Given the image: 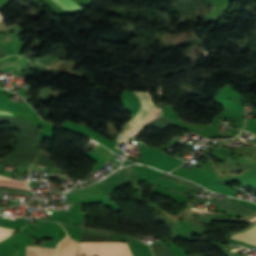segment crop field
<instances>
[{
  "mask_svg": "<svg viewBox=\"0 0 256 256\" xmlns=\"http://www.w3.org/2000/svg\"><path fill=\"white\" fill-rule=\"evenodd\" d=\"M78 254L97 256H132L126 243L83 242Z\"/></svg>",
  "mask_w": 256,
  "mask_h": 256,
  "instance_id": "8a807250",
  "label": "crop field"
},
{
  "mask_svg": "<svg viewBox=\"0 0 256 256\" xmlns=\"http://www.w3.org/2000/svg\"><path fill=\"white\" fill-rule=\"evenodd\" d=\"M139 99L141 100V107L138 113L135 114L130 121L134 124L138 119H140L149 109H151L155 104L153 103L149 93H141V92H134ZM161 111L156 107V105L149 110L140 120H138L134 125L138 128L142 127L146 122L156 118Z\"/></svg>",
  "mask_w": 256,
  "mask_h": 256,
  "instance_id": "ac0d7876",
  "label": "crop field"
},
{
  "mask_svg": "<svg viewBox=\"0 0 256 256\" xmlns=\"http://www.w3.org/2000/svg\"><path fill=\"white\" fill-rule=\"evenodd\" d=\"M3 121H7L11 123V128H16L20 130V134L37 138L41 133V129L33 126L30 122L25 119L17 118V117H9V116H0V123Z\"/></svg>",
  "mask_w": 256,
  "mask_h": 256,
  "instance_id": "34b2d1b8",
  "label": "crop field"
},
{
  "mask_svg": "<svg viewBox=\"0 0 256 256\" xmlns=\"http://www.w3.org/2000/svg\"><path fill=\"white\" fill-rule=\"evenodd\" d=\"M36 154L29 153H8L0 159V164H13L28 168L36 159Z\"/></svg>",
  "mask_w": 256,
  "mask_h": 256,
  "instance_id": "412701ff",
  "label": "crop field"
},
{
  "mask_svg": "<svg viewBox=\"0 0 256 256\" xmlns=\"http://www.w3.org/2000/svg\"><path fill=\"white\" fill-rule=\"evenodd\" d=\"M125 175L126 171L119 170L100 181L101 183H104L103 192L105 197L108 196L114 189L125 184Z\"/></svg>",
  "mask_w": 256,
  "mask_h": 256,
  "instance_id": "f4fd0767",
  "label": "crop field"
},
{
  "mask_svg": "<svg viewBox=\"0 0 256 256\" xmlns=\"http://www.w3.org/2000/svg\"><path fill=\"white\" fill-rule=\"evenodd\" d=\"M219 201H222V200L213 199L212 203H214L222 208H225L227 210H230L232 212H235L237 214H240L242 216H247L255 211L254 209L246 207V206H244L232 199H229V198H227L225 201H222L223 204L218 203Z\"/></svg>",
  "mask_w": 256,
  "mask_h": 256,
  "instance_id": "dd49c442",
  "label": "crop field"
},
{
  "mask_svg": "<svg viewBox=\"0 0 256 256\" xmlns=\"http://www.w3.org/2000/svg\"><path fill=\"white\" fill-rule=\"evenodd\" d=\"M14 136L17 139L18 144H7L11 148H21V149H35L39 150L41 146L40 140L30 139L28 137H22L14 133Z\"/></svg>",
  "mask_w": 256,
  "mask_h": 256,
  "instance_id": "e52e79f7",
  "label": "crop field"
},
{
  "mask_svg": "<svg viewBox=\"0 0 256 256\" xmlns=\"http://www.w3.org/2000/svg\"><path fill=\"white\" fill-rule=\"evenodd\" d=\"M78 248L79 245L67 236L62 242H60L58 246L59 253L57 256H75Z\"/></svg>",
  "mask_w": 256,
  "mask_h": 256,
  "instance_id": "d8731c3e",
  "label": "crop field"
},
{
  "mask_svg": "<svg viewBox=\"0 0 256 256\" xmlns=\"http://www.w3.org/2000/svg\"><path fill=\"white\" fill-rule=\"evenodd\" d=\"M56 249L26 246V256H55Z\"/></svg>",
  "mask_w": 256,
  "mask_h": 256,
  "instance_id": "5a996713",
  "label": "crop field"
},
{
  "mask_svg": "<svg viewBox=\"0 0 256 256\" xmlns=\"http://www.w3.org/2000/svg\"><path fill=\"white\" fill-rule=\"evenodd\" d=\"M231 237L256 245V225L245 232L234 234Z\"/></svg>",
  "mask_w": 256,
  "mask_h": 256,
  "instance_id": "3316defc",
  "label": "crop field"
},
{
  "mask_svg": "<svg viewBox=\"0 0 256 256\" xmlns=\"http://www.w3.org/2000/svg\"><path fill=\"white\" fill-rule=\"evenodd\" d=\"M0 187L23 188L28 190V188L22 182L18 180L6 178V177H1V176H0Z\"/></svg>",
  "mask_w": 256,
  "mask_h": 256,
  "instance_id": "28ad6ade",
  "label": "crop field"
},
{
  "mask_svg": "<svg viewBox=\"0 0 256 256\" xmlns=\"http://www.w3.org/2000/svg\"><path fill=\"white\" fill-rule=\"evenodd\" d=\"M53 1H55L59 6H61L65 11L81 8L72 0H53Z\"/></svg>",
  "mask_w": 256,
  "mask_h": 256,
  "instance_id": "d1516ede",
  "label": "crop field"
},
{
  "mask_svg": "<svg viewBox=\"0 0 256 256\" xmlns=\"http://www.w3.org/2000/svg\"><path fill=\"white\" fill-rule=\"evenodd\" d=\"M137 130V128L132 125L128 124L124 130L122 131L121 135L119 136L120 139L128 140V138Z\"/></svg>",
  "mask_w": 256,
  "mask_h": 256,
  "instance_id": "22f410ed",
  "label": "crop field"
},
{
  "mask_svg": "<svg viewBox=\"0 0 256 256\" xmlns=\"http://www.w3.org/2000/svg\"><path fill=\"white\" fill-rule=\"evenodd\" d=\"M34 163L43 165V166H47V167H54V168L58 167V166L56 167V165L52 161H50L47 157L41 156V155L38 156L37 161Z\"/></svg>",
  "mask_w": 256,
  "mask_h": 256,
  "instance_id": "cbeb9de0",
  "label": "crop field"
},
{
  "mask_svg": "<svg viewBox=\"0 0 256 256\" xmlns=\"http://www.w3.org/2000/svg\"><path fill=\"white\" fill-rule=\"evenodd\" d=\"M160 177H164V178H167V179H170V180H174V181L180 182V183H182V184H185V185H188V186H191V187L196 186V185H194V184H192V183L186 182V181H184V180L178 179V178L173 177V176H170V175H168V174H164V175H162V176H160Z\"/></svg>",
  "mask_w": 256,
  "mask_h": 256,
  "instance_id": "5142ce71",
  "label": "crop field"
},
{
  "mask_svg": "<svg viewBox=\"0 0 256 256\" xmlns=\"http://www.w3.org/2000/svg\"><path fill=\"white\" fill-rule=\"evenodd\" d=\"M15 230L0 227V240L10 236Z\"/></svg>",
  "mask_w": 256,
  "mask_h": 256,
  "instance_id": "d9b57169",
  "label": "crop field"
},
{
  "mask_svg": "<svg viewBox=\"0 0 256 256\" xmlns=\"http://www.w3.org/2000/svg\"><path fill=\"white\" fill-rule=\"evenodd\" d=\"M0 115H10V116H13V114H12V113L2 112V111H0Z\"/></svg>",
  "mask_w": 256,
  "mask_h": 256,
  "instance_id": "733c2abd",
  "label": "crop field"
},
{
  "mask_svg": "<svg viewBox=\"0 0 256 256\" xmlns=\"http://www.w3.org/2000/svg\"><path fill=\"white\" fill-rule=\"evenodd\" d=\"M255 220H256V216H255L254 218L248 220V221L253 222V221H255Z\"/></svg>",
  "mask_w": 256,
  "mask_h": 256,
  "instance_id": "4a817a6b",
  "label": "crop field"
},
{
  "mask_svg": "<svg viewBox=\"0 0 256 256\" xmlns=\"http://www.w3.org/2000/svg\"><path fill=\"white\" fill-rule=\"evenodd\" d=\"M4 20V18L0 15V21Z\"/></svg>",
  "mask_w": 256,
  "mask_h": 256,
  "instance_id": "bc2a9ffb",
  "label": "crop field"
},
{
  "mask_svg": "<svg viewBox=\"0 0 256 256\" xmlns=\"http://www.w3.org/2000/svg\"><path fill=\"white\" fill-rule=\"evenodd\" d=\"M174 126H177V125H175V124H173ZM179 127V126H178ZM181 128V127H180ZM183 129V128H182Z\"/></svg>",
  "mask_w": 256,
  "mask_h": 256,
  "instance_id": "214f88e0",
  "label": "crop field"
},
{
  "mask_svg": "<svg viewBox=\"0 0 256 256\" xmlns=\"http://www.w3.org/2000/svg\"><path fill=\"white\" fill-rule=\"evenodd\" d=\"M0 64H1V62H0Z\"/></svg>",
  "mask_w": 256,
  "mask_h": 256,
  "instance_id": "92a150f3",
  "label": "crop field"
}]
</instances>
